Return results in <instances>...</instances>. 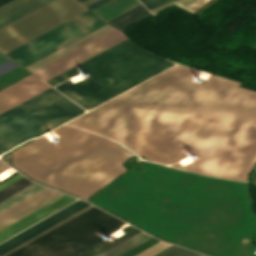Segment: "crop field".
I'll return each instance as SVG.
<instances>
[{"label": "crop field", "instance_id": "a9b5d70f", "mask_svg": "<svg viewBox=\"0 0 256 256\" xmlns=\"http://www.w3.org/2000/svg\"><path fill=\"white\" fill-rule=\"evenodd\" d=\"M91 207H93V206H91V205H90V206H88V207L84 208L83 210H81V211H79V212L75 213L74 215H72V216L68 217L67 219H65V220L61 221L60 223H58V224L54 225L53 227H51V228H49V229L45 230L44 232H42V233L38 234L37 236H35V237L31 238L30 240H28V241L24 242L23 244H21V245H19V246L15 247L14 249H12V250L8 251L7 253H5V254H3V255H1V256H7L8 254H10V253H12V252L16 251L17 249H19V248L23 247L24 245H26V244L30 243L31 241H33V240L37 239L38 237H40V236L44 235L45 233H47V232L51 231L52 229H54V228L58 227L59 225H61V224L65 223L66 221H68V220L72 219L73 217H75V216L79 215L80 213H82V212L86 211L87 209H89V208H91Z\"/></svg>", "mask_w": 256, "mask_h": 256}, {"label": "crop field", "instance_id": "120bbe31", "mask_svg": "<svg viewBox=\"0 0 256 256\" xmlns=\"http://www.w3.org/2000/svg\"><path fill=\"white\" fill-rule=\"evenodd\" d=\"M17 172L13 173L12 175H10L9 177H7L6 179L10 178L11 176H13L14 174H16ZM6 179L0 181V183H2L3 181H5Z\"/></svg>", "mask_w": 256, "mask_h": 256}, {"label": "crop field", "instance_id": "22f410ed", "mask_svg": "<svg viewBox=\"0 0 256 256\" xmlns=\"http://www.w3.org/2000/svg\"><path fill=\"white\" fill-rule=\"evenodd\" d=\"M9 57L3 55L2 53H0V62L7 59ZM20 65H18L16 62H14L13 60H11L10 58L1 62L0 63V76L16 67H18ZM32 73H30L29 71H27L26 69H24L23 67H18L4 75H2L0 77V90L13 84L14 82L30 75Z\"/></svg>", "mask_w": 256, "mask_h": 256}, {"label": "crop field", "instance_id": "5866460e", "mask_svg": "<svg viewBox=\"0 0 256 256\" xmlns=\"http://www.w3.org/2000/svg\"><path fill=\"white\" fill-rule=\"evenodd\" d=\"M78 1H80V2H81V1H83V0H78Z\"/></svg>", "mask_w": 256, "mask_h": 256}, {"label": "crop field", "instance_id": "750c4746", "mask_svg": "<svg viewBox=\"0 0 256 256\" xmlns=\"http://www.w3.org/2000/svg\"><path fill=\"white\" fill-rule=\"evenodd\" d=\"M7 167H9V166H7V165H5L4 163H2L1 161H0V172H2L4 169H6Z\"/></svg>", "mask_w": 256, "mask_h": 256}, {"label": "crop field", "instance_id": "bc2a9ffb", "mask_svg": "<svg viewBox=\"0 0 256 256\" xmlns=\"http://www.w3.org/2000/svg\"><path fill=\"white\" fill-rule=\"evenodd\" d=\"M88 205H89V204L85 203V204H83V205L79 206L78 208H76V209H74V210L70 211L69 213H67V214L63 215L62 217H60V218L56 219L55 221H53V222H51V223L47 224L46 226H44V227L40 228L39 230H37V231H35V232L31 233L30 235H28V236L24 237L23 239H21V240L17 241L16 243H14V244H12V245L8 246L7 248H5V249H3V250H1V251H0V255H1V254H3V253H5V252H7L8 250H10V249L14 248L15 246H17V245H19V244L23 243L24 241H26V240L30 239L31 237H33V236L37 235L38 233H40V232L44 231L45 229H47V228H49V227L53 226L54 224H56V223L60 222L61 220H63V219H65V218H67L68 216H70V215L74 214L75 212H77V211H79V210L83 209L84 207H86V206H88Z\"/></svg>", "mask_w": 256, "mask_h": 256}, {"label": "crop field", "instance_id": "d1516ede", "mask_svg": "<svg viewBox=\"0 0 256 256\" xmlns=\"http://www.w3.org/2000/svg\"><path fill=\"white\" fill-rule=\"evenodd\" d=\"M112 29L114 28L106 24L25 68L32 72Z\"/></svg>", "mask_w": 256, "mask_h": 256}, {"label": "crop field", "instance_id": "5a996713", "mask_svg": "<svg viewBox=\"0 0 256 256\" xmlns=\"http://www.w3.org/2000/svg\"><path fill=\"white\" fill-rule=\"evenodd\" d=\"M33 74L0 91V114L49 89Z\"/></svg>", "mask_w": 256, "mask_h": 256}, {"label": "crop field", "instance_id": "d8731c3e", "mask_svg": "<svg viewBox=\"0 0 256 256\" xmlns=\"http://www.w3.org/2000/svg\"><path fill=\"white\" fill-rule=\"evenodd\" d=\"M125 39L114 29L32 73L46 81Z\"/></svg>", "mask_w": 256, "mask_h": 256}, {"label": "crop field", "instance_id": "34b2d1b8", "mask_svg": "<svg viewBox=\"0 0 256 256\" xmlns=\"http://www.w3.org/2000/svg\"><path fill=\"white\" fill-rule=\"evenodd\" d=\"M172 64L138 49L127 39L46 82L54 86L87 72L90 77L55 86L86 110Z\"/></svg>", "mask_w": 256, "mask_h": 256}, {"label": "crop field", "instance_id": "00972430", "mask_svg": "<svg viewBox=\"0 0 256 256\" xmlns=\"http://www.w3.org/2000/svg\"><path fill=\"white\" fill-rule=\"evenodd\" d=\"M199 255L200 254L172 245L154 256H199Z\"/></svg>", "mask_w": 256, "mask_h": 256}, {"label": "crop field", "instance_id": "ae1a2a85", "mask_svg": "<svg viewBox=\"0 0 256 256\" xmlns=\"http://www.w3.org/2000/svg\"><path fill=\"white\" fill-rule=\"evenodd\" d=\"M23 177L19 173L11 177L10 179L6 180L2 184H0V190L3 189L4 187L8 186L9 184L13 183L14 181L18 180L19 178Z\"/></svg>", "mask_w": 256, "mask_h": 256}, {"label": "crop field", "instance_id": "e52e79f7", "mask_svg": "<svg viewBox=\"0 0 256 256\" xmlns=\"http://www.w3.org/2000/svg\"><path fill=\"white\" fill-rule=\"evenodd\" d=\"M104 24L88 10L6 54L25 67Z\"/></svg>", "mask_w": 256, "mask_h": 256}, {"label": "crop field", "instance_id": "d32e631a", "mask_svg": "<svg viewBox=\"0 0 256 256\" xmlns=\"http://www.w3.org/2000/svg\"><path fill=\"white\" fill-rule=\"evenodd\" d=\"M251 48L256 50V42L251 46Z\"/></svg>", "mask_w": 256, "mask_h": 256}, {"label": "crop field", "instance_id": "8a807250", "mask_svg": "<svg viewBox=\"0 0 256 256\" xmlns=\"http://www.w3.org/2000/svg\"><path fill=\"white\" fill-rule=\"evenodd\" d=\"M176 65L67 124L102 134L162 164L246 181L256 162V92ZM181 144V147L178 145Z\"/></svg>", "mask_w": 256, "mask_h": 256}, {"label": "crop field", "instance_id": "28ad6ade", "mask_svg": "<svg viewBox=\"0 0 256 256\" xmlns=\"http://www.w3.org/2000/svg\"><path fill=\"white\" fill-rule=\"evenodd\" d=\"M53 0H13L0 7V28L33 12Z\"/></svg>", "mask_w": 256, "mask_h": 256}, {"label": "crop field", "instance_id": "730fd06b", "mask_svg": "<svg viewBox=\"0 0 256 256\" xmlns=\"http://www.w3.org/2000/svg\"><path fill=\"white\" fill-rule=\"evenodd\" d=\"M149 10L173 0H140Z\"/></svg>", "mask_w": 256, "mask_h": 256}, {"label": "crop field", "instance_id": "f4fd0767", "mask_svg": "<svg viewBox=\"0 0 256 256\" xmlns=\"http://www.w3.org/2000/svg\"><path fill=\"white\" fill-rule=\"evenodd\" d=\"M109 215L93 207L8 256H77L125 224Z\"/></svg>", "mask_w": 256, "mask_h": 256}, {"label": "crop field", "instance_id": "1d83c4d3", "mask_svg": "<svg viewBox=\"0 0 256 256\" xmlns=\"http://www.w3.org/2000/svg\"><path fill=\"white\" fill-rule=\"evenodd\" d=\"M9 1H11V0H0V6L5 4V3H7V2H9Z\"/></svg>", "mask_w": 256, "mask_h": 256}, {"label": "crop field", "instance_id": "214f88e0", "mask_svg": "<svg viewBox=\"0 0 256 256\" xmlns=\"http://www.w3.org/2000/svg\"><path fill=\"white\" fill-rule=\"evenodd\" d=\"M52 191L53 190H50V189H47V188L39 191L38 193L34 194L33 196L27 198L26 200L22 201L21 203L15 205L14 207H12L9 210L0 214V221L3 220L4 218L10 216L11 214L17 212L18 210L24 208L25 206L33 203L34 201L40 199L41 197L47 195L48 193H50Z\"/></svg>", "mask_w": 256, "mask_h": 256}, {"label": "crop field", "instance_id": "eef30255", "mask_svg": "<svg viewBox=\"0 0 256 256\" xmlns=\"http://www.w3.org/2000/svg\"><path fill=\"white\" fill-rule=\"evenodd\" d=\"M139 232H140V231H138V230H137V231H135V232H133V233L129 234L128 236H126V237L122 238L121 240H119V241H117V242L113 243L112 245H110V246L106 247L105 249H103V250H101V251L97 252L96 254H94V255H92V256H97L98 254H100V253H102V252H104V251L108 250L109 248H111V247H113V246H115V245L119 244L120 242H122V241H124V240H126V239L130 238L131 236H133V235H135V234H137V233H139Z\"/></svg>", "mask_w": 256, "mask_h": 256}, {"label": "crop field", "instance_id": "bd1437ed", "mask_svg": "<svg viewBox=\"0 0 256 256\" xmlns=\"http://www.w3.org/2000/svg\"><path fill=\"white\" fill-rule=\"evenodd\" d=\"M94 1H96V0H85V1H83L81 3L86 6V5H88V4H90V3L94 2Z\"/></svg>", "mask_w": 256, "mask_h": 256}, {"label": "crop field", "instance_id": "733c2abd", "mask_svg": "<svg viewBox=\"0 0 256 256\" xmlns=\"http://www.w3.org/2000/svg\"><path fill=\"white\" fill-rule=\"evenodd\" d=\"M43 188L44 187L39 186L35 183L29 185L28 187H26L23 190L19 191L18 193L14 194L13 196L9 197L8 199L2 201L0 203V213L9 209L10 207L21 202L22 200L26 199L27 197L33 195L34 193L38 192L39 190H41Z\"/></svg>", "mask_w": 256, "mask_h": 256}, {"label": "crop field", "instance_id": "dafd665d", "mask_svg": "<svg viewBox=\"0 0 256 256\" xmlns=\"http://www.w3.org/2000/svg\"><path fill=\"white\" fill-rule=\"evenodd\" d=\"M208 0H177L174 1L172 3H175L177 5H180L192 12H194L195 10H197L200 6H202L204 3H206ZM171 3L161 6L159 8L153 9L151 10V13L154 14L155 12L159 11L160 9L170 5Z\"/></svg>", "mask_w": 256, "mask_h": 256}, {"label": "crop field", "instance_id": "dd49c442", "mask_svg": "<svg viewBox=\"0 0 256 256\" xmlns=\"http://www.w3.org/2000/svg\"><path fill=\"white\" fill-rule=\"evenodd\" d=\"M86 10L76 0H55L0 29V50L6 53Z\"/></svg>", "mask_w": 256, "mask_h": 256}, {"label": "crop field", "instance_id": "028f5c9d", "mask_svg": "<svg viewBox=\"0 0 256 256\" xmlns=\"http://www.w3.org/2000/svg\"><path fill=\"white\" fill-rule=\"evenodd\" d=\"M201 256H203V255H201Z\"/></svg>", "mask_w": 256, "mask_h": 256}, {"label": "crop field", "instance_id": "cbeb9de0", "mask_svg": "<svg viewBox=\"0 0 256 256\" xmlns=\"http://www.w3.org/2000/svg\"><path fill=\"white\" fill-rule=\"evenodd\" d=\"M63 194L58 193L56 191L48 194L47 196L41 198L40 200L34 202L33 204L27 206L26 208L18 211L17 213L11 215L10 217L4 219L0 222V230L9 226L10 224L16 222L17 220L25 217L26 215L32 213L33 211L41 208L42 206L48 204L49 202L57 199L58 197L62 196Z\"/></svg>", "mask_w": 256, "mask_h": 256}, {"label": "crop field", "instance_id": "5142ce71", "mask_svg": "<svg viewBox=\"0 0 256 256\" xmlns=\"http://www.w3.org/2000/svg\"><path fill=\"white\" fill-rule=\"evenodd\" d=\"M83 203H85V202H84V201H81V200H78V201L72 203L71 205H69V206L63 208L62 210L56 212L55 214L49 216L48 218L42 220L41 222H39V223L33 225L32 227L26 229L25 231H23V232L19 233L18 235L12 237L11 239H9V240L3 242L2 244H0V250L3 249V248H5V247H7L8 245H10V244L16 242L17 240L23 238L24 236L30 234L31 232H33V231L39 229L40 227L46 225L47 223H49V222L55 220L56 218L62 216L63 214L69 212L70 210H72V209L78 207L79 205H81V204H83Z\"/></svg>", "mask_w": 256, "mask_h": 256}, {"label": "crop field", "instance_id": "4a817a6b", "mask_svg": "<svg viewBox=\"0 0 256 256\" xmlns=\"http://www.w3.org/2000/svg\"><path fill=\"white\" fill-rule=\"evenodd\" d=\"M150 237L151 236L141 232L99 256H119Z\"/></svg>", "mask_w": 256, "mask_h": 256}, {"label": "crop field", "instance_id": "ac0d7876", "mask_svg": "<svg viewBox=\"0 0 256 256\" xmlns=\"http://www.w3.org/2000/svg\"><path fill=\"white\" fill-rule=\"evenodd\" d=\"M61 142L40 137L13 151V166L38 182L87 199L122 172L132 155L115 142L63 125Z\"/></svg>", "mask_w": 256, "mask_h": 256}, {"label": "crop field", "instance_id": "d9b57169", "mask_svg": "<svg viewBox=\"0 0 256 256\" xmlns=\"http://www.w3.org/2000/svg\"><path fill=\"white\" fill-rule=\"evenodd\" d=\"M148 15H150V13L141 4L107 23L122 30L124 27H126V26L148 16Z\"/></svg>", "mask_w": 256, "mask_h": 256}, {"label": "crop field", "instance_id": "3316defc", "mask_svg": "<svg viewBox=\"0 0 256 256\" xmlns=\"http://www.w3.org/2000/svg\"><path fill=\"white\" fill-rule=\"evenodd\" d=\"M74 200L76 199L64 195L57 200L49 203L48 205L42 207L41 209L33 212L32 214L26 216L25 218L19 220L18 222L10 225L9 227L0 231V242L11 237L12 235L18 233L19 231L25 229L26 227L32 225L33 223L39 221L40 219L55 212L56 210L62 208L63 206L69 204Z\"/></svg>", "mask_w": 256, "mask_h": 256}, {"label": "crop field", "instance_id": "92a150f3", "mask_svg": "<svg viewBox=\"0 0 256 256\" xmlns=\"http://www.w3.org/2000/svg\"><path fill=\"white\" fill-rule=\"evenodd\" d=\"M31 183L32 182L23 177L18 181L14 182L13 184L9 185L8 187L4 188L0 191V202Z\"/></svg>", "mask_w": 256, "mask_h": 256}, {"label": "crop field", "instance_id": "d3111659", "mask_svg": "<svg viewBox=\"0 0 256 256\" xmlns=\"http://www.w3.org/2000/svg\"><path fill=\"white\" fill-rule=\"evenodd\" d=\"M108 1H110V0H98V1H96V2H94V3H92V4H90V5H88V6H86V7H88V8L90 9V11H91V10H93V9H95V8H97V7H99L100 5H102V4L106 3V2H108Z\"/></svg>", "mask_w": 256, "mask_h": 256}, {"label": "crop field", "instance_id": "4177f3b9", "mask_svg": "<svg viewBox=\"0 0 256 256\" xmlns=\"http://www.w3.org/2000/svg\"><path fill=\"white\" fill-rule=\"evenodd\" d=\"M135 230H137V229L135 228V229L131 230L130 232L126 233L125 235L121 236L120 238H122V237L128 235L129 233H131V232H133V231H135ZM120 238L116 239L115 241L119 240ZM115 241H113V242H115ZM113 242H111V243H113ZM111 243L106 240V241L100 243L99 245L93 247L92 249H90V250L84 252L83 254H81V255H79V256H90V255H92L93 253H95V252L101 250L102 248H104V247L110 245Z\"/></svg>", "mask_w": 256, "mask_h": 256}, {"label": "crop field", "instance_id": "412701ff", "mask_svg": "<svg viewBox=\"0 0 256 256\" xmlns=\"http://www.w3.org/2000/svg\"><path fill=\"white\" fill-rule=\"evenodd\" d=\"M83 111L49 89L0 115V154Z\"/></svg>", "mask_w": 256, "mask_h": 256}]
</instances>
